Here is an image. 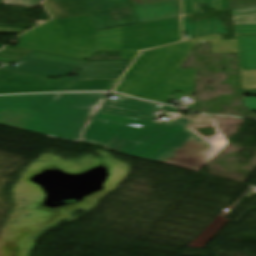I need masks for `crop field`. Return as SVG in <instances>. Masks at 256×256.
I'll list each match as a JSON object with an SVG mask.
<instances>
[{"label":"crop field","mask_w":256,"mask_h":256,"mask_svg":"<svg viewBox=\"0 0 256 256\" xmlns=\"http://www.w3.org/2000/svg\"><path fill=\"white\" fill-rule=\"evenodd\" d=\"M255 12H256V5L231 10L232 16L248 14V13H255Z\"/></svg>","instance_id":"4a817a6b"},{"label":"crop field","mask_w":256,"mask_h":256,"mask_svg":"<svg viewBox=\"0 0 256 256\" xmlns=\"http://www.w3.org/2000/svg\"><path fill=\"white\" fill-rule=\"evenodd\" d=\"M235 33H256V25L234 26Z\"/></svg>","instance_id":"bc2a9ffb"},{"label":"crop field","mask_w":256,"mask_h":256,"mask_svg":"<svg viewBox=\"0 0 256 256\" xmlns=\"http://www.w3.org/2000/svg\"><path fill=\"white\" fill-rule=\"evenodd\" d=\"M236 40H219L221 35H214L198 42H212V53L238 52L240 71L256 70V35H235Z\"/></svg>","instance_id":"d8731c3e"},{"label":"crop field","mask_w":256,"mask_h":256,"mask_svg":"<svg viewBox=\"0 0 256 256\" xmlns=\"http://www.w3.org/2000/svg\"><path fill=\"white\" fill-rule=\"evenodd\" d=\"M31 50L6 46L0 51V63L8 64L19 60Z\"/></svg>","instance_id":"22f410ed"},{"label":"crop field","mask_w":256,"mask_h":256,"mask_svg":"<svg viewBox=\"0 0 256 256\" xmlns=\"http://www.w3.org/2000/svg\"><path fill=\"white\" fill-rule=\"evenodd\" d=\"M210 149L211 147L191 139L163 163L198 171L210 160V158L201 156L203 152Z\"/></svg>","instance_id":"5a996713"},{"label":"crop field","mask_w":256,"mask_h":256,"mask_svg":"<svg viewBox=\"0 0 256 256\" xmlns=\"http://www.w3.org/2000/svg\"><path fill=\"white\" fill-rule=\"evenodd\" d=\"M106 93L0 96V124L79 141Z\"/></svg>","instance_id":"ac0d7876"},{"label":"crop field","mask_w":256,"mask_h":256,"mask_svg":"<svg viewBox=\"0 0 256 256\" xmlns=\"http://www.w3.org/2000/svg\"><path fill=\"white\" fill-rule=\"evenodd\" d=\"M196 44L190 41L140 54L115 91L162 103L173 91L192 94L196 69L178 67Z\"/></svg>","instance_id":"34b2d1b8"},{"label":"crop field","mask_w":256,"mask_h":256,"mask_svg":"<svg viewBox=\"0 0 256 256\" xmlns=\"http://www.w3.org/2000/svg\"><path fill=\"white\" fill-rule=\"evenodd\" d=\"M231 9L256 4V0H230Z\"/></svg>","instance_id":"733c2abd"},{"label":"crop field","mask_w":256,"mask_h":256,"mask_svg":"<svg viewBox=\"0 0 256 256\" xmlns=\"http://www.w3.org/2000/svg\"><path fill=\"white\" fill-rule=\"evenodd\" d=\"M130 1L134 8L144 6V8L133 9L140 23L180 17V14L176 9L174 3L164 4V3L175 2L179 7V0H130ZM157 4H164V5L148 7V5H157Z\"/></svg>","instance_id":"3316defc"},{"label":"crop field","mask_w":256,"mask_h":256,"mask_svg":"<svg viewBox=\"0 0 256 256\" xmlns=\"http://www.w3.org/2000/svg\"><path fill=\"white\" fill-rule=\"evenodd\" d=\"M3 47V45H0V49Z\"/></svg>","instance_id":"dafd665d"},{"label":"crop field","mask_w":256,"mask_h":256,"mask_svg":"<svg viewBox=\"0 0 256 256\" xmlns=\"http://www.w3.org/2000/svg\"><path fill=\"white\" fill-rule=\"evenodd\" d=\"M243 105L251 110L252 112H256V98L254 97H244Z\"/></svg>","instance_id":"214f88e0"},{"label":"crop field","mask_w":256,"mask_h":256,"mask_svg":"<svg viewBox=\"0 0 256 256\" xmlns=\"http://www.w3.org/2000/svg\"><path fill=\"white\" fill-rule=\"evenodd\" d=\"M158 104L120 96L108 99L83 132V140L106 145V149L161 162L190 138L205 142L197 134L183 128L189 120L176 118L169 125L155 123L148 128L127 127L109 120L149 126ZM162 110L178 112L163 106ZM215 125L210 116L194 117L188 126ZM167 158V157H166Z\"/></svg>","instance_id":"8a807250"},{"label":"crop field","mask_w":256,"mask_h":256,"mask_svg":"<svg viewBox=\"0 0 256 256\" xmlns=\"http://www.w3.org/2000/svg\"><path fill=\"white\" fill-rule=\"evenodd\" d=\"M243 89L256 88V71L240 72Z\"/></svg>","instance_id":"cbeb9de0"},{"label":"crop field","mask_w":256,"mask_h":256,"mask_svg":"<svg viewBox=\"0 0 256 256\" xmlns=\"http://www.w3.org/2000/svg\"><path fill=\"white\" fill-rule=\"evenodd\" d=\"M53 18L89 13L97 30L139 23L128 0H46Z\"/></svg>","instance_id":"dd49c442"},{"label":"crop field","mask_w":256,"mask_h":256,"mask_svg":"<svg viewBox=\"0 0 256 256\" xmlns=\"http://www.w3.org/2000/svg\"><path fill=\"white\" fill-rule=\"evenodd\" d=\"M179 41H181V37L178 18L97 31V50L122 51L121 59H133L137 50Z\"/></svg>","instance_id":"f4fd0767"},{"label":"crop field","mask_w":256,"mask_h":256,"mask_svg":"<svg viewBox=\"0 0 256 256\" xmlns=\"http://www.w3.org/2000/svg\"><path fill=\"white\" fill-rule=\"evenodd\" d=\"M233 25L256 24V13L232 17Z\"/></svg>","instance_id":"5142ce71"},{"label":"crop field","mask_w":256,"mask_h":256,"mask_svg":"<svg viewBox=\"0 0 256 256\" xmlns=\"http://www.w3.org/2000/svg\"><path fill=\"white\" fill-rule=\"evenodd\" d=\"M116 80H76L73 84L0 70V94L111 91Z\"/></svg>","instance_id":"e52e79f7"},{"label":"crop field","mask_w":256,"mask_h":256,"mask_svg":"<svg viewBox=\"0 0 256 256\" xmlns=\"http://www.w3.org/2000/svg\"><path fill=\"white\" fill-rule=\"evenodd\" d=\"M243 92L247 94H256V89L243 90Z\"/></svg>","instance_id":"92a150f3"},{"label":"crop field","mask_w":256,"mask_h":256,"mask_svg":"<svg viewBox=\"0 0 256 256\" xmlns=\"http://www.w3.org/2000/svg\"><path fill=\"white\" fill-rule=\"evenodd\" d=\"M42 0H5L3 3L39 7Z\"/></svg>","instance_id":"d9b57169"},{"label":"crop field","mask_w":256,"mask_h":256,"mask_svg":"<svg viewBox=\"0 0 256 256\" xmlns=\"http://www.w3.org/2000/svg\"><path fill=\"white\" fill-rule=\"evenodd\" d=\"M200 4H209L216 10L229 9L228 0H183L184 16L202 13Z\"/></svg>","instance_id":"d1516ede"},{"label":"crop field","mask_w":256,"mask_h":256,"mask_svg":"<svg viewBox=\"0 0 256 256\" xmlns=\"http://www.w3.org/2000/svg\"><path fill=\"white\" fill-rule=\"evenodd\" d=\"M131 60L81 61L72 58L31 51L18 61L19 67L5 66L0 69L16 71L47 78L77 74L59 80L74 82L76 79H119Z\"/></svg>","instance_id":"412701ff"},{"label":"crop field","mask_w":256,"mask_h":256,"mask_svg":"<svg viewBox=\"0 0 256 256\" xmlns=\"http://www.w3.org/2000/svg\"><path fill=\"white\" fill-rule=\"evenodd\" d=\"M192 17L182 19L183 31L187 38H198L210 34L228 33L226 28L215 17L195 23H191Z\"/></svg>","instance_id":"28ad6ade"}]
</instances>
